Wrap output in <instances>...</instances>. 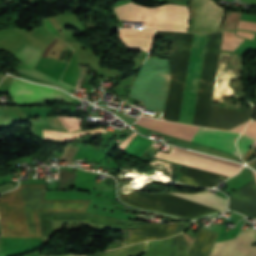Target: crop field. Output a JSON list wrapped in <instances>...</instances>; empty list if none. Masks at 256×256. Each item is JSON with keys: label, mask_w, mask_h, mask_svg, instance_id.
Returning a JSON list of instances; mask_svg holds the SVG:
<instances>
[{"label": "crop field", "mask_w": 256, "mask_h": 256, "mask_svg": "<svg viewBox=\"0 0 256 256\" xmlns=\"http://www.w3.org/2000/svg\"><path fill=\"white\" fill-rule=\"evenodd\" d=\"M173 35L171 85L168 59L148 58L134 83L130 97L143 101L149 109L163 111V117L178 122L194 34L156 32Z\"/></svg>", "instance_id": "8a807250"}, {"label": "crop field", "mask_w": 256, "mask_h": 256, "mask_svg": "<svg viewBox=\"0 0 256 256\" xmlns=\"http://www.w3.org/2000/svg\"><path fill=\"white\" fill-rule=\"evenodd\" d=\"M45 185H20L0 195L3 237H41L37 211H85L91 200H44Z\"/></svg>", "instance_id": "ac0d7876"}, {"label": "crop field", "mask_w": 256, "mask_h": 256, "mask_svg": "<svg viewBox=\"0 0 256 256\" xmlns=\"http://www.w3.org/2000/svg\"><path fill=\"white\" fill-rule=\"evenodd\" d=\"M123 201L135 207L172 214L184 218H195L200 215L217 211L169 193L135 192Z\"/></svg>", "instance_id": "34b2d1b8"}, {"label": "crop field", "mask_w": 256, "mask_h": 256, "mask_svg": "<svg viewBox=\"0 0 256 256\" xmlns=\"http://www.w3.org/2000/svg\"><path fill=\"white\" fill-rule=\"evenodd\" d=\"M191 21L188 32H214L220 28L225 9L212 0H190Z\"/></svg>", "instance_id": "412701ff"}, {"label": "crop field", "mask_w": 256, "mask_h": 256, "mask_svg": "<svg viewBox=\"0 0 256 256\" xmlns=\"http://www.w3.org/2000/svg\"><path fill=\"white\" fill-rule=\"evenodd\" d=\"M8 94L16 103H27L46 100L72 101L73 98L55 88L31 84L17 78L13 79Z\"/></svg>", "instance_id": "f4fd0767"}, {"label": "crop field", "mask_w": 256, "mask_h": 256, "mask_svg": "<svg viewBox=\"0 0 256 256\" xmlns=\"http://www.w3.org/2000/svg\"><path fill=\"white\" fill-rule=\"evenodd\" d=\"M256 230L248 227L240 231L235 239L217 242L211 256H256Z\"/></svg>", "instance_id": "dd49c442"}, {"label": "crop field", "mask_w": 256, "mask_h": 256, "mask_svg": "<svg viewBox=\"0 0 256 256\" xmlns=\"http://www.w3.org/2000/svg\"><path fill=\"white\" fill-rule=\"evenodd\" d=\"M251 115L252 109H245L241 112L211 105L207 127L229 130L250 119Z\"/></svg>", "instance_id": "e52e79f7"}, {"label": "crop field", "mask_w": 256, "mask_h": 256, "mask_svg": "<svg viewBox=\"0 0 256 256\" xmlns=\"http://www.w3.org/2000/svg\"><path fill=\"white\" fill-rule=\"evenodd\" d=\"M239 134L199 127L193 141L217 147L238 156L234 143ZM239 157V156H238Z\"/></svg>", "instance_id": "d8731c3e"}, {"label": "crop field", "mask_w": 256, "mask_h": 256, "mask_svg": "<svg viewBox=\"0 0 256 256\" xmlns=\"http://www.w3.org/2000/svg\"><path fill=\"white\" fill-rule=\"evenodd\" d=\"M41 50L29 46L27 44H25L15 55L19 58V60L23 63L21 65V67L19 68V71L25 73V74H29L32 76H35L37 78H40L42 80H46L49 82H52L54 85L65 89L66 91H68L69 93H71V91L73 90V88L33 69L34 66L36 65L37 61L39 60L40 56H41Z\"/></svg>", "instance_id": "5a996713"}, {"label": "crop field", "mask_w": 256, "mask_h": 256, "mask_svg": "<svg viewBox=\"0 0 256 256\" xmlns=\"http://www.w3.org/2000/svg\"><path fill=\"white\" fill-rule=\"evenodd\" d=\"M228 196L230 197L229 209L256 218V187L253 181Z\"/></svg>", "instance_id": "3316defc"}, {"label": "crop field", "mask_w": 256, "mask_h": 256, "mask_svg": "<svg viewBox=\"0 0 256 256\" xmlns=\"http://www.w3.org/2000/svg\"><path fill=\"white\" fill-rule=\"evenodd\" d=\"M218 235L202 229L189 256H210ZM177 256H186V238L181 234L177 236Z\"/></svg>", "instance_id": "28ad6ade"}, {"label": "crop field", "mask_w": 256, "mask_h": 256, "mask_svg": "<svg viewBox=\"0 0 256 256\" xmlns=\"http://www.w3.org/2000/svg\"><path fill=\"white\" fill-rule=\"evenodd\" d=\"M137 123L160 132H164L176 137H180L186 140H191L193 135L195 134L198 127L178 124V123H171L165 121H159L147 117H140Z\"/></svg>", "instance_id": "d1516ede"}, {"label": "crop field", "mask_w": 256, "mask_h": 256, "mask_svg": "<svg viewBox=\"0 0 256 256\" xmlns=\"http://www.w3.org/2000/svg\"><path fill=\"white\" fill-rule=\"evenodd\" d=\"M216 178L224 180L225 178H227V176H222L186 166L179 181L194 186L213 187L218 184L213 181Z\"/></svg>", "instance_id": "22f410ed"}, {"label": "crop field", "mask_w": 256, "mask_h": 256, "mask_svg": "<svg viewBox=\"0 0 256 256\" xmlns=\"http://www.w3.org/2000/svg\"><path fill=\"white\" fill-rule=\"evenodd\" d=\"M58 117L62 121V123L65 125V127L68 129L69 132L80 130L79 125H80V122L82 119L71 118V117H62V116H58ZM43 131L47 138L72 141L76 137H78L84 133H98V132H105L106 130L104 128H97L94 130L77 132V133H63V132H55V131H48V130H43Z\"/></svg>", "instance_id": "cbeb9de0"}, {"label": "crop field", "mask_w": 256, "mask_h": 256, "mask_svg": "<svg viewBox=\"0 0 256 256\" xmlns=\"http://www.w3.org/2000/svg\"><path fill=\"white\" fill-rule=\"evenodd\" d=\"M183 198L207 205L209 207L224 211L226 208L227 200L214 195L208 191H204L202 193H195V194H181V193H172Z\"/></svg>", "instance_id": "5142ce71"}, {"label": "crop field", "mask_w": 256, "mask_h": 256, "mask_svg": "<svg viewBox=\"0 0 256 256\" xmlns=\"http://www.w3.org/2000/svg\"><path fill=\"white\" fill-rule=\"evenodd\" d=\"M146 256H176V236L148 242Z\"/></svg>", "instance_id": "d9b57169"}, {"label": "crop field", "mask_w": 256, "mask_h": 256, "mask_svg": "<svg viewBox=\"0 0 256 256\" xmlns=\"http://www.w3.org/2000/svg\"><path fill=\"white\" fill-rule=\"evenodd\" d=\"M164 225H140L130 231L126 242L132 244L144 240L156 239Z\"/></svg>", "instance_id": "733c2abd"}, {"label": "crop field", "mask_w": 256, "mask_h": 256, "mask_svg": "<svg viewBox=\"0 0 256 256\" xmlns=\"http://www.w3.org/2000/svg\"><path fill=\"white\" fill-rule=\"evenodd\" d=\"M143 250H145V242L117 249L114 251L89 256H135L140 254Z\"/></svg>", "instance_id": "4a817a6b"}, {"label": "crop field", "mask_w": 256, "mask_h": 256, "mask_svg": "<svg viewBox=\"0 0 256 256\" xmlns=\"http://www.w3.org/2000/svg\"><path fill=\"white\" fill-rule=\"evenodd\" d=\"M77 172L59 169V189H69L75 184Z\"/></svg>", "instance_id": "bc2a9ffb"}, {"label": "crop field", "mask_w": 256, "mask_h": 256, "mask_svg": "<svg viewBox=\"0 0 256 256\" xmlns=\"http://www.w3.org/2000/svg\"><path fill=\"white\" fill-rule=\"evenodd\" d=\"M243 40L234 33L224 32L222 49L234 50Z\"/></svg>", "instance_id": "214f88e0"}, {"label": "crop field", "mask_w": 256, "mask_h": 256, "mask_svg": "<svg viewBox=\"0 0 256 256\" xmlns=\"http://www.w3.org/2000/svg\"><path fill=\"white\" fill-rule=\"evenodd\" d=\"M252 142H253V139L248 138L244 135H241V137L238 139L237 146L241 154V158L244 156V154L246 153L247 149L249 148Z\"/></svg>", "instance_id": "92a150f3"}, {"label": "crop field", "mask_w": 256, "mask_h": 256, "mask_svg": "<svg viewBox=\"0 0 256 256\" xmlns=\"http://www.w3.org/2000/svg\"><path fill=\"white\" fill-rule=\"evenodd\" d=\"M177 225H178V223H173L171 225H165V227L163 228V230L161 231V233L159 234L157 239L172 236V234H173L174 230L176 229Z\"/></svg>", "instance_id": "dafd665d"}, {"label": "crop field", "mask_w": 256, "mask_h": 256, "mask_svg": "<svg viewBox=\"0 0 256 256\" xmlns=\"http://www.w3.org/2000/svg\"><path fill=\"white\" fill-rule=\"evenodd\" d=\"M243 134L256 139V121H251L248 127L245 129Z\"/></svg>", "instance_id": "00972430"}, {"label": "crop field", "mask_w": 256, "mask_h": 256, "mask_svg": "<svg viewBox=\"0 0 256 256\" xmlns=\"http://www.w3.org/2000/svg\"><path fill=\"white\" fill-rule=\"evenodd\" d=\"M238 29H249V30H255L256 31V23L241 21L239 26H238Z\"/></svg>", "instance_id": "a9b5d70f"}, {"label": "crop field", "mask_w": 256, "mask_h": 256, "mask_svg": "<svg viewBox=\"0 0 256 256\" xmlns=\"http://www.w3.org/2000/svg\"><path fill=\"white\" fill-rule=\"evenodd\" d=\"M137 133H133L132 135H130L123 143H121L118 148L119 150H123L125 148V146L133 139V137L136 135Z\"/></svg>", "instance_id": "4177f3b9"}, {"label": "crop field", "mask_w": 256, "mask_h": 256, "mask_svg": "<svg viewBox=\"0 0 256 256\" xmlns=\"http://www.w3.org/2000/svg\"><path fill=\"white\" fill-rule=\"evenodd\" d=\"M189 224H190V223H179V225H178V227H177V229L175 230V232H174L173 235H175V234H177V233H179V232H181V231H184V230L189 226Z\"/></svg>", "instance_id": "730fd06b"}, {"label": "crop field", "mask_w": 256, "mask_h": 256, "mask_svg": "<svg viewBox=\"0 0 256 256\" xmlns=\"http://www.w3.org/2000/svg\"><path fill=\"white\" fill-rule=\"evenodd\" d=\"M238 36H242V37H246L248 39H252L253 40V33H249V32H245V31H236Z\"/></svg>", "instance_id": "eef30255"}, {"label": "crop field", "mask_w": 256, "mask_h": 256, "mask_svg": "<svg viewBox=\"0 0 256 256\" xmlns=\"http://www.w3.org/2000/svg\"><path fill=\"white\" fill-rule=\"evenodd\" d=\"M252 152H253V150L249 148V150L247 151V153L245 154V156L243 157L242 160H244V161L247 162V161L249 160V158H250Z\"/></svg>", "instance_id": "ae1a2a85"}, {"label": "crop field", "mask_w": 256, "mask_h": 256, "mask_svg": "<svg viewBox=\"0 0 256 256\" xmlns=\"http://www.w3.org/2000/svg\"><path fill=\"white\" fill-rule=\"evenodd\" d=\"M246 124H247V123H245V124H243V125H241V126L235 128V129H233V130H230V131H235V132L241 133V131H242V130L244 129V127L246 126Z\"/></svg>", "instance_id": "d3111659"}, {"label": "crop field", "mask_w": 256, "mask_h": 256, "mask_svg": "<svg viewBox=\"0 0 256 256\" xmlns=\"http://www.w3.org/2000/svg\"><path fill=\"white\" fill-rule=\"evenodd\" d=\"M251 167H253L254 169H256V161H253L249 164Z\"/></svg>", "instance_id": "750c4746"}, {"label": "crop field", "mask_w": 256, "mask_h": 256, "mask_svg": "<svg viewBox=\"0 0 256 256\" xmlns=\"http://www.w3.org/2000/svg\"><path fill=\"white\" fill-rule=\"evenodd\" d=\"M254 173V176H255V178H256V173L255 172H253Z\"/></svg>", "instance_id": "bd1437ed"}, {"label": "crop field", "mask_w": 256, "mask_h": 256, "mask_svg": "<svg viewBox=\"0 0 256 256\" xmlns=\"http://www.w3.org/2000/svg\"><path fill=\"white\" fill-rule=\"evenodd\" d=\"M70 256H73V255H70Z\"/></svg>", "instance_id": "1d83c4d3"}]
</instances>
